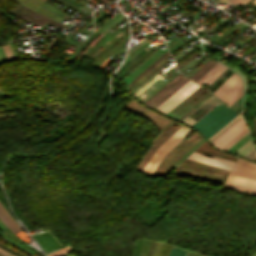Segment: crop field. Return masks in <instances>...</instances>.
Returning a JSON list of instances; mask_svg holds the SVG:
<instances>
[{"label": "crop field", "mask_w": 256, "mask_h": 256, "mask_svg": "<svg viewBox=\"0 0 256 256\" xmlns=\"http://www.w3.org/2000/svg\"><path fill=\"white\" fill-rule=\"evenodd\" d=\"M253 48H255V47H253ZM253 48H251V49H253ZM251 49H250V50H251ZM250 50H248V51H250ZM248 51H247V52H248ZM247 52H245L244 54H246ZM244 54H242V56H243Z\"/></svg>", "instance_id": "d32e631a"}, {"label": "crop field", "mask_w": 256, "mask_h": 256, "mask_svg": "<svg viewBox=\"0 0 256 256\" xmlns=\"http://www.w3.org/2000/svg\"><path fill=\"white\" fill-rule=\"evenodd\" d=\"M240 0H232L230 3H235L237 4Z\"/></svg>", "instance_id": "1d83c4d3"}, {"label": "crop field", "mask_w": 256, "mask_h": 256, "mask_svg": "<svg viewBox=\"0 0 256 256\" xmlns=\"http://www.w3.org/2000/svg\"><path fill=\"white\" fill-rule=\"evenodd\" d=\"M219 103L220 102L212 96L182 121L192 127Z\"/></svg>", "instance_id": "d8731c3e"}, {"label": "crop field", "mask_w": 256, "mask_h": 256, "mask_svg": "<svg viewBox=\"0 0 256 256\" xmlns=\"http://www.w3.org/2000/svg\"><path fill=\"white\" fill-rule=\"evenodd\" d=\"M254 124H255V127H256V118H254Z\"/></svg>", "instance_id": "120bbe31"}, {"label": "crop field", "mask_w": 256, "mask_h": 256, "mask_svg": "<svg viewBox=\"0 0 256 256\" xmlns=\"http://www.w3.org/2000/svg\"><path fill=\"white\" fill-rule=\"evenodd\" d=\"M168 54V51L165 52L161 57H159L154 63H152L147 69H145L139 76H137L132 82L128 84L130 86L132 83H134L137 79H139L142 75H144L150 68H152L158 61H160L162 58H164Z\"/></svg>", "instance_id": "d9b57169"}, {"label": "crop field", "mask_w": 256, "mask_h": 256, "mask_svg": "<svg viewBox=\"0 0 256 256\" xmlns=\"http://www.w3.org/2000/svg\"><path fill=\"white\" fill-rule=\"evenodd\" d=\"M241 98H242V96L231 106V108L239 111L240 104H241Z\"/></svg>", "instance_id": "4177f3b9"}, {"label": "crop field", "mask_w": 256, "mask_h": 256, "mask_svg": "<svg viewBox=\"0 0 256 256\" xmlns=\"http://www.w3.org/2000/svg\"><path fill=\"white\" fill-rule=\"evenodd\" d=\"M199 86L200 85L190 80L180 89L174 92L171 96H169L160 105H158L155 109L166 114Z\"/></svg>", "instance_id": "f4fd0767"}, {"label": "crop field", "mask_w": 256, "mask_h": 256, "mask_svg": "<svg viewBox=\"0 0 256 256\" xmlns=\"http://www.w3.org/2000/svg\"><path fill=\"white\" fill-rule=\"evenodd\" d=\"M195 152H198L200 154H205V155H208L210 157H213L214 155H217V156H221V157H224V158H227V159H231V160H234V161L237 158L236 156L229 155V154L217 151V150L209 147L206 144L205 141L195 150Z\"/></svg>", "instance_id": "28ad6ade"}, {"label": "crop field", "mask_w": 256, "mask_h": 256, "mask_svg": "<svg viewBox=\"0 0 256 256\" xmlns=\"http://www.w3.org/2000/svg\"><path fill=\"white\" fill-rule=\"evenodd\" d=\"M227 67L221 65L220 63H216L213 67H211L202 77H200L196 82L199 84H207L211 85L226 69Z\"/></svg>", "instance_id": "3316defc"}, {"label": "crop field", "mask_w": 256, "mask_h": 256, "mask_svg": "<svg viewBox=\"0 0 256 256\" xmlns=\"http://www.w3.org/2000/svg\"><path fill=\"white\" fill-rule=\"evenodd\" d=\"M236 165L243 166L256 171V163H252L244 159L239 158L238 161L236 162Z\"/></svg>", "instance_id": "5142ce71"}, {"label": "crop field", "mask_w": 256, "mask_h": 256, "mask_svg": "<svg viewBox=\"0 0 256 256\" xmlns=\"http://www.w3.org/2000/svg\"><path fill=\"white\" fill-rule=\"evenodd\" d=\"M10 13L24 19V20H27L31 23H34V24H38V25H41L43 26V24L45 22H49L59 28H62V27H66L65 25L61 24V23H58L52 19H49L43 15H40L26 7H24L23 5L19 4L15 9H13Z\"/></svg>", "instance_id": "e52e79f7"}, {"label": "crop field", "mask_w": 256, "mask_h": 256, "mask_svg": "<svg viewBox=\"0 0 256 256\" xmlns=\"http://www.w3.org/2000/svg\"><path fill=\"white\" fill-rule=\"evenodd\" d=\"M207 172H214L222 175H227L228 170H224L221 168H217L214 166H210L207 164L195 162L186 159L175 171L176 174L186 175L190 177L210 180L214 182L223 183L225 178L224 176H220L213 173H206ZM230 172V171H229Z\"/></svg>", "instance_id": "34b2d1b8"}, {"label": "crop field", "mask_w": 256, "mask_h": 256, "mask_svg": "<svg viewBox=\"0 0 256 256\" xmlns=\"http://www.w3.org/2000/svg\"><path fill=\"white\" fill-rule=\"evenodd\" d=\"M71 251L72 250H71L70 246L68 245V246H66V247H64V248H62V249H60V250H58V251L48 255V256H61V255H64L66 253H69Z\"/></svg>", "instance_id": "214f88e0"}, {"label": "crop field", "mask_w": 256, "mask_h": 256, "mask_svg": "<svg viewBox=\"0 0 256 256\" xmlns=\"http://www.w3.org/2000/svg\"><path fill=\"white\" fill-rule=\"evenodd\" d=\"M171 55L169 54L166 56L163 60H161L156 66H154L149 72H147L144 76H142L138 81H136L133 85H131L129 88L130 90L138 84L143 78H145L149 73H151L156 67H158L161 63H163L166 59H168Z\"/></svg>", "instance_id": "bc2a9ffb"}, {"label": "crop field", "mask_w": 256, "mask_h": 256, "mask_svg": "<svg viewBox=\"0 0 256 256\" xmlns=\"http://www.w3.org/2000/svg\"><path fill=\"white\" fill-rule=\"evenodd\" d=\"M107 135H108V134L105 133V134L101 137V139L95 144V146L97 147Z\"/></svg>", "instance_id": "eef30255"}, {"label": "crop field", "mask_w": 256, "mask_h": 256, "mask_svg": "<svg viewBox=\"0 0 256 256\" xmlns=\"http://www.w3.org/2000/svg\"><path fill=\"white\" fill-rule=\"evenodd\" d=\"M243 91V82L235 73L229 77L218 89L213 93L228 106L237 100Z\"/></svg>", "instance_id": "412701ff"}, {"label": "crop field", "mask_w": 256, "mask_h": 256, "mask_svg": "<svg viewBox=\"0 0 256 256\" xmlns=\"http://www.w3.org/2000/svg\"><path fill=\"white\" fill-rule=\"evenodd\" d=\"M1 204V203H0ZM5 209V208H4ZM3 209V207L0 205V220L3 222V224L10 229L13 233L21 230L18 225L13 221V219L8 215V213Z\"/></svg>", "instance_id": "d1516ede"}, {"label": "crop field", "mask_w": 256, "mask_h": 256, "mask_svg": "<svg viewBox=\"0 0 256 256\" xmlns=\"http://www.w3.org/2000/svg\"><path fill=\"white\" fill-rule=\"evenodd\" d=\"M2 47H3V50H4V52H5V55H6L7 60H8V61L15 60L14 57H13V55H12V52H11L9 46H8V44H7V45H3Z\"/></svg>", "instance_id": "92a150f3"}, {"label": "crop field", "mask_w": 256, "mask_h": 256, "mask_svg": "<svg viewBox=\"0 0 256 256\" xmlns=\"http://www.w3.org/2000/svg\"><path fill=\"white\" fill-rule=\"evenodd\" d=\"M238 113L225 107L223 104L216 106L211 112H209L203 119H201L196 125L193 126L196 130L200 131L207 139L211 137L215 132L227 124L231 119H233ZM240 117V114L236 116L232 121L220 129L216 134H214L208 140L214 139L223 130H225L229 125H231L236 119Z\"/></svg>", "instance_id": "ac0d7876"}, {"label": "crop field", "mask_w": 256, "mask_h": 256, "mask_svg": "<svg viewBox=\"0 0 256 256\" xmlns=\"http://www.w3.org/2000/svg\"><path fill=\"white\" fill-rule=\"evenodd\" d=\"M214 157H215V159H210L208 157H205L203 155H200V154H197V153L193 152L188 157V159H192V160H195V161L211 164V165L218 166V167L228 169V170H230L232 168L233 164H234V161H230V160L223 159V158L216 157V156H214Z\"/></svg>", "instance_id": "5a996713"}, {"label": "crop field", "mask_w": 256, "mask_h": 256, "mask_svg": "<svg viewBox=\"0 0 256 256\" xmlns=\"http://www.w3.org/2000/svg\"><path fill=\"white\" fill-rule=\"evenodd\" d=\"M216 62L212 60H208L202 67H200L194 74H192L189 78L193 80H197L200 76H202L211 66H213Z\"/></svg>", "instance_id": "22f410ed"}, {"label": "crop field", "mask_w": 256, "mask_h": 256, "mask_svg": "<svg viewBox=\"0 0 256 256\" xmlns=\"http://www.w3.org/2000/svg\"><path fill=\"white\" fill-rule=\"evenodd\" d=\"M171 247H172L171 245H167V244L163 243V246H162L159 256H168Z\"/></svg>", "instance_id": "dafd665d"}, {"label": "crop field", "mask_w": 256, "mask_h": 256, "mask_svg": "<svg viewBox=\"0 0 256 256\" xmlns=\"http://www.w3.org/2000/svg\"><path fill=\"white\" fill-rule=\"evenodd\" d=\"M188 80L189 79L179 73L175 78H173L168 84H166L162 89H160L143 104L154 108Z\"/></svg>", "instance_id": "dd49c442"}, {"label": "crop field", "mask_w": 256, "mask_h": 256, "mask_svg": "<svg viewBox=\"0 0 256 256\" xmlns=\"http://www.w3.org/2000/svg\"><path fill=\"white\" fill-rule=\"evenodd\" d=\"M164 72V71H163ZM161 70L156 73L153 77H151L148 81H146L142 86H140L133 95L135 96L138 92H140L143 88H145L149 83H151L154 79H156L160 74L163 73Z\"/></svg>", "instance_id": "733c2abd"}, {"label": "crop field", "mask_w": 256, "mask_h": 256, "mask_svg": "<svg viewBox=\"0 0 256 256\" xmlns=\"http://www.w3.org/2000/svg\"><path fill=\"white\" fill-rule=\"evenodd\" d=\"M138 242H139V240H138V239H136V242H135V248H134V254H133V256H136L137 247H138ZM142 242H143V240H140V242H139V247H138V252H137V256H139V254H140V252H141Z\"/></svg>", "instance_id": "00972430"}, {"label": "crop field", "mask_w": 256, "mask_h": 256, "mask_svg": "<svg viewBox=\"0 0 256 256\" xmlns=\"http://www.w3.org/2000/svg\"><path fill=\"white\" fill-rule=\"evenodd\" d=\"M232 172L256 179V172L234 165Z\"/></svg>", "instance_id": "cbeb9de0"}, {"label": "crop field", "mask_w": 256, "mask_h": 256, "mask_svg": "<svg viewBox=\"0 0 256 256\" xmlns=\"http://www.w3.org/2000/svg\"><path fill=\"white\" fill-rule=\"evenodd\" d=\"M195 109V107H193L191 110H189L186 114H184L181 118H179L178 120L181 121L184 117H186L191 111H193Z\"/></svg>", "instance_id": "ae1a2a85"}, {"label": "crop field", "mask_w": 256, "mask_h": 256, "mask_svg": "<svg viewBox=\"0 0 256 256\" xmlns=\"http://www.w3.org/2000/svg\"><path fill=\"white\" fill-rule=\"evenodd\" d=\"M186 254L187 250L179 249L173 246L169 256H186Z\"/></svg>", "instance_id": "4a817a6b"}, {"label": "crop field", "mask_w": 256, "mask_h": 256, "mask_svg": "<svg viewBox=\"0 0 256 256\" xmlns=\"http://www.w3.org/2000/svg\"><path fill=\"white\" fill-rule=\"evenodd\" d=\"M158 244H159V243L155 242V244H154V248H153V252H152V255H151V256H154V254H155V251H156V249H157ZM161 244H162V243H160V244H159V246H158V249H157V251H156L155 256H158L159 251H160V248H161Z\"/></svg>", "instance_id": "a9b5d70f"}, {"label": "crop field", "mask_w": 256, "mask_h": 256, "mask_svg": "<svg viewBox=\"0 0 256 256\" xmlns=\"http://www.w3.org/2000/svg\"><path fill=\"white\" fill-rule=\"evenodd\" d=\"M247 127L242 118L237 120L233 125H231L227 130H225L221 135H219L216 139L212 141L213 145L226 150L230 147L234 142H236L239 138H241L244 134H246ZM254 149L250 139L249 134L243 136L240 140H238L234 145H232L227 151L239 154L246 155Z\"/></svg>", "instance_id": "8a807250"}, {"label": "crop field", "mask_w": 256, "mask_h": 256, "mask_svg": "<svg viewBox=\"0 0 256 256\" xmlns=\"http://www.w3.org/2000/svg\"><path fill=\"white\" fill-rule=\"evenodd\" d=\"M231 17L227 18L226 20H224L223 22H221L220 24H218L217 26H215L214 28H212L211 30H209L207 33H205L202 37H205L206 35H208L209 33H211L213 30H215L216 28H218L219 26H221L223 23H225L226 21H228Z\"/></svg>", "instance_id": "730fd06b"}, {"label": "crop field", "mask_w": 256, "mask_h": 256, "mask_svg": "<svg viewBox=\"0 0 256 256\" xmlns=\"http://www.w3.org/2000/svg\"><path fill=\"white\" fill-rule=\"evenodd\" d=\"M255 5H256V3H255Z\"/></svg>", "instance_id": "0bd39190"}, {"label": "crop field", "mask_w": 256, "mask_h": 256, "mask_svg": "<svg viewBox=\"0 0 256 256\" xmlns=\"http://www.w3.org/2000/svg\"><path fill=\"white\" fill-rule=\"evenodd\" d=\"M195 256H200V255H198V254H195Z\"/></svg>", "instance_id": "028f5c9d"}, {"label": "crop field", "mask_w": 256, "mask_h": 256, "mask_svg": "<svg viewBox=\"0 0 256 256\" xmlns=\"http://www.w3.org/2000/svg\"><path fill=\"white\" fill-rule=\"evenodd\" d=\"M67 1L71 2L72 4L76 5L77 7H79L81 5L80 3H78V2H76L74 0H67Z\"/></svg>", "instance_id": "d3111659"}, {"label": "crop field", "mask_w": 256, "mask_h": 256, "mask_svg": "<svg viewBox=\"0 0 256 256\" xmlns=\"http://www.w3.org/2000/svg\"><path fill=\"white\" fill-rule=\"evenodd\" d=\"M254 256H256V254Z\"/></svg>", "instance_id": "e1f06a70"}, {"label": "crop field", "mask_w": 256, "mask_h": 256, "mask_svg": "<svg viewBox=\"0 0 256 256\" xmlns=\"http://www.w3.org/2000/svg\"><path fill=\"white\" fill-rule=\"evenodd\" d=\"M14 115H17V113L7 114V115H0V118L10 117V116H14Z\"/></svg>", "instance_id": "750c4746"}, {"label": "crop field", "mask_w": 256, "mask_h": 256, "mask_svg": "<svg viewBox=\"0 0 256 256\" xmlns=\"http://www.w3.org/2000/svg\"><path fill=\"white\" fill-rule=\"evenodd\" d=\"M210 95H211V94H210ZM210 95H209V96H210ZM209 96H207V97H209ZM207 97H206V98H207ZM206 98H205V99H206ZM205 99H204V100H205ZM204 100H203V101H204ZM203 101H201V102H203ZM201 102H200V103H201ZM200 103H199V104H200ZM199 104H198V105H199Z\"/></svg>", "instance_id": "5866460e"}, {"label": "crop field", "mask_w": 256, "mask_h": 256, "mask_svg": "<svg viewBox=\"0 0 256 256\" xmlns=\"http://www.w3.org/2000/svg\"><path fill=\"white\" fill-rule=\"evenodd\" d=\"M249 0H241L238 4H245V3H247ZM256 2V0L255 1H253L252 3H255Z\"/></svg>", "instance_id": "bd1437ed"}]
</instances>
